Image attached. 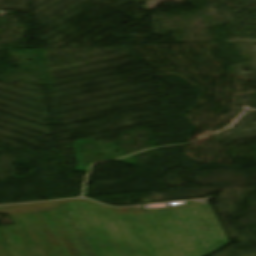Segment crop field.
<instances>
[{"label": "crop field", "instance_id": "8a807250", "mask_svg": "<svg viewBox=\"0 0 256 256\" xmlns=\"http://www.w3.org/2000/svg\"><path fill=\"white\" fill-rule=\"evenodd\" d=\"M77 209L78 210L89 211V212L101 213V214H104L106 212L105 210H99V209L82 207V206H79Z\"/></svg>", "mask_w": 256, "mask_h": 256}]
</instances>
